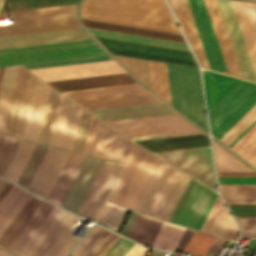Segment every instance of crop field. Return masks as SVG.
Instances as JSON below:
<instances>
[{
  "mask_svg": "<svg viewBox=\"0 0 256 256\" xmlns=\"http://www.w3.org/2000/svg\"><path fill=\"white\" fill-rule=\"evenodd\" d=\"M168 2L182 30L184 31L201 67L209 68V65H210V68L212 70H215L218 72L222 70L225 73H227V70H228V73L230 75L241 77L238 65L236 63V60H235V57H234V54H233L229 39L227 37L215 0H204V3L206 6L208 15L210 17L227 70H226L222 55L220 53L203 0H187V2L190 8L193 20L195 22L200 40L202 42L207 60L209 62V65L206 60V57H205L201 42L199 40L186 0H168Z\"/></svg>",
  "mask_w": 256,
  "mask_h": 256,
  "instance_id": "crop-field-1",
  "label": "crop field"
},
{
  "mask_svg": "<svg viewBox=\"0 0 256 256\" xmlns=\"http://www.w3.org/2000/svg\"><path fill=\"white\" fill-rule=\"evenodd\" d=\"M161 1L179 31L164 0ZM161 1L85 0L82 16L176 31Z\"/></svg>",
  "mask_w": 256,
  "mask_h": 256,
  "instance_id": "crop-field-2",
  "label": "crop field"
},
{
  "mask_svg": "<svg viewBox=\"0 0 256 256\" xmlns=\"http://www.w3.org/2000/svg\"><path fill=\"white\" fill-rule=\"evenodd\" d=\"M189 177L158 159L134 210L168 221Z\"/></svg>",
  "mask_w": 256,
  "mask_h": 256,
  "instance_id": "crop-field-3",
  "label": "crop field"
},
{
  "mask_svg": "<svg viewBox=\"0 0 256 256\" xmlns=\"http://www.w3.org/2000/svg\"><path fill=\"white\" fill-rule=\"evenodd\" d=\"M79 219L55 206L18 256H67L79 239L72 234Z\"/></svg>",
  "mask_w": 256,
  "mask_h": 256,
  "instance_id": "crop-field-4",
  "label": "crop field"
},
{
  "mask_svg": "<svg viewBox=\"0 0 256 256\" xmlns=\"http://www.w3.org/2000/svg\"><path fill=\"white\" fill-rule=\"evenodd\" d=\"M166 67L172 106L208 132L199 69Z\"/></svg>",
  "mask_w": 256,
  "mask_h": 256,
  "instance_id": "crop-field-5",
  "label": "crop field"
},
{
  "mask_svg": "<svg viewBox=\"0 0 256 256\" xmlns=\"http://www.w3.org/2000/svg\"><path fill=\"white\" fill-rule=\"evenodd\" d=\"M106 54L90 39L0 49V66Z\"/></svg>",
  "mask_w": 256,
  "mask_h": 256,
  "instance_id": "crop-field-6",
  "label": "crop field"
},
{
  "mask_svg": "<svg viewBox=\"0 0 256 256\" xmlns=\"http://www.w3.org/2000/svg\"><path fill=\"white\" fill-rule=\"evenodd\" d=\"M157 158L133 143L127 163L108 200L132 209Z\"/></svg>",
  "mask_w": 256,
  "mask_h": 256,
  "instance_id": "crop-field-7",
  "label": "crop field"
},
{
  "mask_svg": "<svg viewBox=\"0 0 256 256\" xmlns=\"http://www.w3.org/2000/svg\"><path fill=\"white\" fill-rule=\"evenodd\" d=\"M256 103V84L240 81L210 111L211 134L218 139Z\"/></svg>",
  "mask_w": 256,
  "mask_h": 256,
  "instance_id": "crop-field-8",
  "label": "crop field"
},
{
  "mask_svg": "<svg viewBox=\"0 0 256 256\" xmlns=\"http://www.w3.org/2000/svg\"><path fill=\"white\" fill-rule=\"evenodd\" d=\"M63 93L87 110L158 101L137 84Z\"/></svg>",
  "mask_w": 256,
  "mask_h": 256,
  "instance_id": "crop-field-9",
  "label": "crop field"
},
{
  "mask_svg": "<svg viewBox=\"0 0 256 256\" xmlns=\"http://www.w3.org/2000/svg\"><path fill=\"white\" fill-rule=\"evenodd\" d=\"M108 124L134 141L171 137V134L199 131L178 114L109 122ZM199 133L201 132L176 134L174 136Z\"/></svg>",
  "mask_w": 256,
  "mask_h": 256,
  "instance_id": "crop-field-10",
  "label": "crop field"
},
{
  "mask_svg": "<svg viewBox=\"0 0 256 256\" xmlns=\"http://www.w3.org/2000/svg\"><path fill=\"white\" fill-rule=\"evenodd\" d=\"M217 195L190 177L169 222L200 230Z\"/></svg>",
  "mask_w": 256,
  "mask_h": 256,
  "instance_id": "crop-field-11",
  "label": "crop field"
},
{
  "mask_svg": "<svg viewBox=\"0 0 256 256\" xmlns=\"http://www.w3.org/2000/svg\"><path fill=\"white\" fill-rule=\"evenodd\" d=\"M154 153L217 191L210 146Z\"/></svg>",
  "mask_w": 256,
  "mask_h": 256,
  "instance_id": "crop-field-12",
  "label": "crop field"
},
{
  "mask_svg": "<svg viewBox=\"0 0 256 256\" xmlns=\"http://www.w3.org/2000/svg\"><path fill=\"white\" fill-rule=\"evenodd\" d=\"M96 38L113 53L198 67L191 52Z\"/></svg>",
  "mask_w": 256,
  "mask_h": 256,
  "instance_id": "crop-field-13",
  "label": "crop field"
},
{
  "mask_svg": "<svg viewBox=\"0 0 256 256\" xmlns=\"http://www.w3.org/2000/svg\"><path fill=\"white\" fill-rule=\"evenodd\" d=\"M132 141L95 120L87 154L124 163Z\"/></svg>",
  "mask_w": 256,
  "mask_h": 256,
  "instance_id": "crop-field-14",
  "label": "crop field"
},
{
  "mask_svg": "<svg viewBox=\"0 0 256 256\" xmlns=\"http://www.w3.org/2000/svg\"><path fill=\"white\" fill-rule=\"evenodd\" d=\"M69 154L48 146L27 189L47 199Z\"/></svg>",
  "mask_w": 256,
  "mask_h": 256,
  "instance_id": "crop-field-15",
  "label": "crop field"
},
{
  "mask_svg": "<svg viewBox=\"0 0 256 256\" xmlns=\"http://www.w3.org/2000/svg\"><path fill=\"white\" fill-rule=\"evenodd\" d=\"M243 79L256 82V76L230 0H216Z\"/></svg>",
  "mask_w": 256,
  "mask_h": 256,
  "instance_id": "crop-field-16",
  "label": "crop field"
},
{
  "mask_svg": "<svg viewBox=\"0 0 256 256\" xmlns=\"http://www.w3.org/2000/svg\"><path fill=\"white\" fill-rule=\"evenodd\" d=\"M81 111L82 108L61 96L49 145L72 151Z\"/></svg>",
  "mask_w": 256,
  "mask_h": 256,
  "instance_id": "crop-field-17",
  "label": "crop field"
},
{
  "mask_svg": "<svg viewBox=\"0 0 256 256\" xmlns=\"http://www.w3.org/2000/svg\"><path fill=\"white\" fill-rule=\"evenodd\" d=\"M103 163V160L85 156L74 180L72 181L61 203V206L78 214Z\"/></svg>",
  "mask_w": 256,
  "mask_h": 256,
  "instance_id": "crop-field-18",
  "label": "crop field"
},
{
  "mask_svg": "<svg viewBox=\"0 0 256 256\" xmlns=\"http://www.w3.org/2000/svg\"><path fill=\"white\" fill-rule=\"evenodd\" d=\"M123 165L105 161L79 215L95 220Z\"/></svg>",
  "mask_w": 256,
  "mask_h": 256,
  "instance_id": "crop-field-19",
  "label": "crop field"
},
{
  "mask_svg": "<svg viewBox=\"0 0 256 256\" xmlns=\"http://www.w3.org/2000/svg\"><path fill=\"white\" fill-rule=\"evenodd\" d=\"M88 38L82 28L0 37V48Z\"/></svg>",
  "mask_w": 256,
  "mask_h": 256,
  "instance_id": "crop-field-20",
  "label": "crop field"
},
{
  "mask_svg": "<svg viewBox=\"0 0 256 256\" xmlns=\"http://www.w3.org/2000/svg\"><path fill=\"white\" fill-rule=\"evenodd\" d=\"M81 27L75 16H62L0 25V36Z\"/></svg>",
  "mask_w": 256,
  "mask_h": 256,
  "instance_id": "crop-field-21",
  "label": "crop field"
},
{
  "mask_svg": "<svg viewBox=\"0 0 256 256\" xmlns=\"http://www.w3.org/2000/svg\"><path fill=\"white\" fill-rule=\"evenodd\" d=\"M90 112L104 122L174 113L161 102L92 110Z\"/></svg>",
  "mask_w": 256,
  "mask_h": 256,
  "instance_id": "crop-field-22",
  "label": "crop field"
},
{
  "mask_svg": "<svg viewBox=\"0 0 256 256\" xmlns=\"http://www.w3.org/2000/svg\"><path fill=\"white\" fill-rule=\"evenodd\" d=\"M50 86L36 79L30 108L23 132V139L37 142Z\"/></svg>",
  "mask_w": 256,
  "mask_h": 256,
  "instance_id": "crop-field-23",
  "label": "crop field"
},
{
  "mask_svg": "<svg viewBox=\"0 0 256 256\" xmlns=\"http://www.w3.org/2000/svg\"><path fill=\"white\" fill-rule=\"evenodd\" d=\"M201 231L237 240L238 228L219 195L208 214Z\"/></svg>",
  "mask_w": 256,
  "mask_h": 256,
  "instance_id": "crop-field-24",
  "label": "crop field"
},
{
  "mask_svg": "<svg viewBox=\"0 0 256 256\" xmlns=\"http://www.w3.org/2000/svg\"><path fill=\"white\" fill-rule=\"evenodd\" d=\"M231 1L256 73V16L252 4Z\"/></svg>",
  "mask_w": 256,
  "mask_h": 256,
  "instance_id": "crop-field-25",
  "label": "crop field"
},
{
  "mask_svg": "<svg viewBox=\"0 0 256 256\" xmlns=\"http://www.w3.org/2000/svg\"><path fill=\"white\" fill-rule=\"evenodd\" d=\"M33 194L12 185L0 201V236L21 211Z\"/></svg>",
  "mask_w": 256,
  "mask_h": 256,
  "instance_id": "crop-field-26",
  "label": "crop field"
},
{
  "mask_svg": "<svg viewBox=\"0 0 256 256\" xmlns=\"http://www.w3.org/2000/svg\"><path fill=\"white\" fill-rule=\"evenodd\" d=\"M202 73L209 110L240 81L208 70Z\"/></svg>",
  "mask_w": 256,
  "mask_h": 256,
  "instance_id": "crop-field-27",
  "label": "crop field"
},
{
  "mask_svg": "<svg viewBox=\"0 0 256 256\" xmlns=\"http://www.w3.org/2000/svg\"><path fill=\"white\" fill-rule=\"evenodd\" d=\"M135 83L127 74L51 82L60 91Z\"/></svg>",
  "mask_w": 256,
  "mask_h": 256,
  "instance_id": "crop-field-28",
  "label": "crop field"
},
{
  "mask_svg": "<svg viewBox=\"0 0 256 256\" xmlns=\"http://www.w3.org/2000/svg\"><path fill=\"white\" fill-rule=\"evenodd\" d=\"M54 206L44 200L6 250L17 255Z\"/></svg>",
  "mask_w": 256,
  "mask_h": 256,
  "instance_id": "crop-field-29",
  "label": "crop field"
},
{
  "mask_svg": "<svg viewBox=\"0 0 256 256\" xmlns=\"http://www.w3.org/2000/svg\"><path fill=\"white\" fill-rule=\"evenodd\" d=\"M138 143L151 151L210 145L208 137L204 134L139 141Z\"/></svg>",
  "mask_w": 256,
  "mask_h": 256,
  "instance_id": "crop-field-30",
  "label": "crop field"
},
{
  "mask_svg": "<svg viewBox=\"0 0 256 256\" xmlns=\"http://www.w3.org/2000/svg\"><path fill=\"white\" fill-rule=\"evenodd\" d=\"M28 74H29V72L27 70H25L22 67L19 68V72H18V76H17V80H16V84H15V88H14V92H13V96H12V100H11L5 128H4V132H3L4 134H8V135H12V136L14 134V130H15V126H16V122H17V118H18V114H19V110H20V106H21V102H22V98H23V94H24V90H25V86H26V82H27V78H28Z\"/></svg>",
  "mask_w": 256,
  "mask_h": 256,
  "instance_id": "crop-field-31",
  "label": "crop field"
},
{
  "mask_svg": "<svg viewBox=\"0 0 256 256\" xmlns=\"http://www.w3.org/2000/svg\"><path fill=\"white\" fill-rule=\"evenodd\" d=\"M84 155L71 153L50 197L49 200L60 205L71 181L73 180Z\"/></svg>",
  "mask_w": 256,
  "mask_h": 256,
  "instance_id": "crop-field-32",
  "label": "crop field"
},
{
  "mask_svg": "<svg viewBox=\"0 0 256 256\" xmlns=\"http://www.w3.org/2000/svg\"><path fill=\"white\" fill-rule=\"evenodd\" d=\"M74 6L75 4L46 7V8H37V9H28V10H19V11H11V12H2L0 13V19L14 18V21H18V20L53 17V16H61V15H70V14H74Z\"/></svg>",
  "mask_w": 256,
  "mask_h": 256,
  "instance_id": "crop-field-33",
  "label": "crop field"
},
{
  "mask_svg": "<svg viewBox=\"0 0 256 256\" xmlns=\"http://www.w3.org/2000/svg\"><path fill=\"white\" fill-rule=\"evenodd\" d=\"M43 199L33 195L29 202L25 205L22 211L18 214L15 220L7 228L4 234L0 237V247L6 249L10 242L14 239L17 233L21 230L24 224L32 216L35 210L42 203Z\"/></svg>",
  "mask_w": 256,
  "mask_h": 256,
  "instance_id": "crop-field-34",
  "label": "crop field"
},
{
  "mask_svg": "<svg viewBox=\"0 0 256 256\" xmlns=\"http://www.w3.org/2000/svg\"><path fill=\"white\" fill-rule=\"evenodd\" d=\"M162 221L137 214L127 236L151 245Z\"/></svg>",
  "mask_w": 256,
  "mask_h": 256,
  "instance_id": "crop-field-35",
  "label": "crop field"
},
{
  "mask_svg": "<svg viewBox=\"0 0 256 256\" xmlns=\"http://www.w3.org/2000/svg\"><path fill=\"white\" fill-rule=\"evenodd\" d=\"M95 36L190 51L187 44L88 28Z\"/></svg>",
  "mask_w": 256,
  "mask_h": 256,
  "instance_id": "crop-field-36",
  "label": "crop field"
},
{
  "mask_svg": "<svg viewBox=\"0 0 256 256\" xmlns=\"http://www.w3.org/2000/svg\"><path fill=\"white\" fill-rule=\"evenodd\" d=\"M86 27L186 43L183 36L82 20Z\"/></svg>",
  "mask_w": 256,
  "mask_h": 256,
  "instance_id": "crop-field-37",
  "label": "crop field"
},
{
  "mask_svg": "<svg viewBox=\"0 0 256 256\" xmlns=\"http://www.w3.org/2000/svg\"><path fill=\"white\" fill-rule=\"evenodd\" d=\"M226 203H256V185H219Z\"/></svg>",
  "mask_w": 256,
  "mask_h": 256,
  "instance_id": "crop-field-38",
  "label": "crop field"
},
{
  "mask_svg": "<svg viewBox=\"0 0 256 256\" xmlns=\"http://www.w3.org/2000/svg\"><path fill=\"white\" fill-rule=\"evenodd\" d=\"M35 143L21 140L13 158L11 159L3 177L17 182Z\"/></svg>",
  "mask_w": 256,
  "mask_h": 256,
  "instance_id": "crop-field-39",
  "label": "crop field"
},
{
  "mask_svg": "<svg viewBox=\"0 0 256 256\" xmlns=\"http://www.w3.org/2000/svg\"><path fill=\"white\" fill-rule=\"evenodd\" d=\"M19 66L6 67L0 89V132L2 133Z\"/></svg>",
  "mask_w": 256,
  "mask_h": 256,
  "instance_id": "crop-field-40",
  "label": "crop field"
},
{
  "mask_svg": "<svg viewBox=\"0 0 256 256\" xmlns=\"http://www.w3.org/2000/svg\"><path fill=\"white\" fill-rule=\"evenodd\" d=\"M256 123V104L219 140L230 148Z\"/></svg>",
  "mask_w": 256,
  "mask_h": 256,
  "instance_id": "crop-field-41",
  "label": "crop field"
},
{
  "mask_svg": "<svg viewBox=\"0 0 256 256\" xmlns=\"http://www.w3.org/2000/svg\"><path fill=\"white\" fill-rule=\"evenodd\" d=\"M60 95L61 93H59L58 91L54 90L53 88L50 89L45 115L38 140L39 143L47 145L49 143Z\"/></svg>",
  "mask_w": 256,
  "mask_h": 256,
  "instance_id": "crop-field-42",
  "label": "crop field"
},
{
  "mask_svg": "<svg viewBox=\"0 0 256 256\" xmlns=\"http://www.w3.org/2000/svg\"><path fill=\"white\" fill-rule=\"evenodd\" d=\"M148 64L153 92L171 104L165 64L150 61Z\"/></svg>",
  "mask_w": 256,
  "mask_h": 256,
  "instance_id": "crop-field-43",
  "label": "crop field"
},
{
  "mask_svg": "<svg viewBox=\"0 0 256 256\" xmlns=\"http://www.w3.org/2000/svg\"><path fill=\"white\" fill-rule=\"evenodd\" d=\"M216 158L217 171H253L232 154L212 141Z\"/></svg>",
  "mask_w": 256,
  "mask_h": 256,
  "instance_id": "crop-field-44",
  "label": "crop field"
},
{
  "mask_svg": "<svg viewBox=\"0 0 256 256\" xmlns=\"http://www.w3.org/2000/svg\"><path fill=\"white\" fill-rule=\"evenodd\" d=\"M231 149L256 167V124Z\"/></svg>",
  "mask_w": 256,
  "mask_h": 256,
  "instance_id": "crop-field-45",
  "label": "crop field"
},
{
  "mask_svg": "<svg viewBox=\"0 0 256 256\" xmlns=\"http://www.w3.org/2000/svg\"><path fill=\"white\" fill-rule=\"evenodd\" d=\"M145 86L151 88L147 61L116 56Z\"/></svg>",
  "mask_w": 256,
  "mask_h": 256,
  "instance_id": "crop-field-46",
  "label": "crop field"
},
{
  "mask_svg": "<svg viewBox=\"0 0 256 256\" xmlns=\"http://www.w3.org/2000/svg\"><path fill=\"white\" fill-rule=\"evenodd\" d=\"M126 209L106 202L99 218L98 222H101L115 230H117Z\"/></svg>",
  "mask_w": 256,
  "mask_h": 256,
  "instance_id": "crop-field-47",
  "label": "crop field"
},
{
  "mask_svg": "<svg viewBox=\"0 0 256 256\" xmlns=\"http://www.w3.org/2000/svg\"><path fill=\"white\" fill-rule=\"evenodd\" d=\"M214 239L215 236L195 231L191 239L184 247V250L192 254H199L204 256Z\"/></svg>",
  "mask_w": 256,
  "mask_h": 256,
  "instance_id": "crop-field-48",
  "label": "crop field"
},
{
  "mask_svg": "<svg viewBox=\"0 0 256 256\" xmlns=\"http://www.w3.org/2000/svg\"><path fill=\"white\" fill-rule=\"evenodd\" d=\"M35 79H36V76H34L33 74L30 73L28 82H27V86H26V90H25V94H24V98H23V102H22V106H21V110H20V114H19V118H18V122H17V126H16V130H15V134H14V136H16V137L21 138V136H22V132H23V128H24V124H25V120H26V116H27V112H28V107H29Z\"/></svg>",
  "mask_w": 256,
  "mask_h": 256,
  "instance_id": "crop-field-49",
  "label": "crop field"
},
{
  "mask_svg": "<svg viewBox=\"0 0 256 256\" xmlns=\"http://www.w3.org/2000/svg\"><path fill=\"white\" fill-rule=\"evenodd\" d=\"M47 146L37 144L19 181L18 184L27 187L36 167L38 166Z\"/></svg>",
  "mask_w": 256,
  "mask_h": 256,
  "instance_id": "crop-field-50",
  "label": "crop field"
},
{
  "mask_svg": "<svg viewBox=\"0 0 256 256\" xmlns=\"http://www.w3.org/2000/svg\"><path fill=\"white\" fill-rule=\"evenodd\" d=\"M106 229L94 225L88 234L79 243L72 256H85L86 253L92 248V246L98 241V239L104 234Z\"/></svg>",
  "mask_w": 256,
  "mask_h": 256,
  "instance_id": "crop-field-51",
  "label": "crop field"
},
{
  "mask_svg": "<svg viewBox=\"0 0 256 256\" xmlns=\"http://www.w3.org/2000/svg\"><path fill=\"white\" fill-rule=\"evenodd\" d=\"M119 237L120 235L107 230L86 256H104Z\"/></svg>",
  "mask_w": 256,
  "mask_h": 256,
  "instance_id": "crop-field-52",
  "label": "crop field"
},
{
  "mask_svg": "<svg viewBox=\"0 0 256 256\" xmlns=\"http://www.w3.org/2000/svg\"><path fill=\"white\" fill-rule=\"evenodd\" d=\"M90 117H91V114H89L85 110L82 111L80 124H79V128H78L77 136H76V141H75V145H74V149H73V151H75V152L82 153V151H83Z\"/></svg>",
  "mask_w": 256,
  "mask_h": 256,
  "instance_id": "crop-field-53",
  "label": "crop field"
},
{
  "mask_svg": "<svg viewBox=\"0 0 256 256\" xmlns=\"http://www.w3.org/2000/svg\"><path fill=\"white\" fill-rule=\"evenodd\" d=\"M112 59L109 56L22 65L27 69Z\"/></svg>",
  "mask_w": 256,
  "mask_h": 256,
  "instance_id": "crop-field-54",
  "label": "crop field"
},
{
  "mask_svg": "<svg viewBox=\"0 0 256 256\" xmlns=\"http://www.w3.org/2000/svg\"><path fill=\"white\" fill-rule=\"evenodd\" d=\"M236 218H256V204H228Z\"/></svg>",
  "mask_w": 256,
  "mask_h": 256,
  "instance_id": "crop-field-55",
  "label": "crop field"
},
{
  "mask_svg": "<svg viewBox=\"0 0 256 256\" xmlns=\"http://www.w3.org/2000/svg\"><path fill=\"white\" fill-rule=\"evenodd\" d=\"M133 244L134 242L121 236L105 256H124Z\"/></svg>",
  "mask_w": 256,
  "mask_h": 256,
  "instance_id": "crop-field-56",
  "label": "crop field"
},
{
  "mask_svg": "<svg viewBox=\"0 0 256 256\" xmlns=\"http://www.w3.org/2000/svg\"><path fill=\"white\" fill-rule=\"evenodd\" d=\"M237 220L242 229V237H256V219Z\"/></svg>",
  "mask_w": 256,
  "mask_h": 256,
  "instance_id": "crop-field-57",
  "label": "crop field"
},
{
  "mask_svg": "<svg viewBox=\"0 0 256 256\" xmlns=\"http://www.w3.org/2000/svg\"><path fill=\"white\" fill-rule=\"evenodd\" d=\"M219 184H256V177H218Z\"/></svg>",
  "mask_w": 256,
  "mask_h": 256,
  "instance_id": "crop-field-58",
  "label": "crop field"
},
{
  "mask_svg": "<svg viewBox=\"0 0 256 256\" xmlns=\"http://www.w3.org/2000/svg\"><path fill=\"white\" fill-rule=\"evenodd\" d=\"M20 140L19 139H15L13 138L5 156L3 157L1 163H0V177H2L10 159L12 158L18 144H19Z\"/></svg>",
  "mask_w": 256,
  "mask_h": 256,
  "instance_id": "crop-field-59",
  "label": "crop field"
},
{
  "mask_svg": "<svg viewBox=\"0 0 256 256\" xmlns=\"http://www.w3.org/2000/svg\"><path fill=\"white\" fill-rule=\"evenodd\" d=\"M81 19L90 20V21H96V22L109 23V24L122 25V26H128V27L141 28V29H147V30H154V31H160V32H167V33H173V34L181 35V33H177V32H171V31H165V30H159V29H152V28H146V27H140V26H134V25H127V24H121V23H115V22H109V21H102V20H96V19H90V18H84V17H81Z\"/></svg>",
  "mask_w": 256,
  "mask_h": 256,
  "instance_id": "crop-field-60",
  "label": "crop field"
},
{
  "mask_svg": "<svg viewBox=\"0 0 256 256\" xmlns=\"http://www.w3.org/2000/svg\"><path fill=\"white\" fill-rule=\"evenodd\" d=\"M11 140H12V137L2 135V137L0 139V161H1L5 151L7 150Z\"/></svg>",
  "mask_w": 256,
  "mask_h": 256,
  "instance_id": "crop-field-61",
  "label": "crop field"
},
{
  "mask_svg": "<svg viewBox=\"0 0 256 256\" xmlns=\"http://www.w3.org/2000/svg\"><path fill=\"white\" fill-rule=\"evenodd\" d=\"M225 242H226V239L216 237V239L214 240V242L211 245V247L209 248V250L220 253Z\"/></svg>",
  "mask_w": 256,
  "mask_h": 256,
  "instance_id": "crop-field-62",
  "label": "crop field"
},
{
  "mask_svg": "<svg viewBox=\"0 0 256 256\" xmlns=\"http://www.w3.org/2000/svg\"><path fill=\"white\" fill-rule=\"evenodd\" d=\"M193 233L194 230L186 228L177 246L183 249V247L185 246V244L190 239Z\"/></svg>",
  "mask_w": 256,
  "mask_h": 256,
  "instance_id": "crop-field-63",
  "label": "crop field"
},
{
  "mask_svg": "<svg viewBox=\"0 0 256 256\" xmlns=\"http://www.w3.org/2000/svg\"><path fill=\"white\" fill-rule=\"evenodd\" d=\"M218 176H256V172H217Z\"/></svg>",
  "mask_w": 256,
  "mask_h": 256,
  "instance_id": "crop-field-64",
  "label": "crop field"
},
{
  "mask_svg": "<svg viewBox=\"0 0 256 256\" xmlns=\"http://www.w3.org/2000/svg\"><path fill=\"white\" fill-rule=\"evenodd\" d=\"M94 120H95V117L92 116L91 117V121H90V125H89V130H88L87 138H86V143H85L84 151H83V153H85V154L87 152V148H88V144H89V140H90V136H91Z\"/></svg>",
  "mask_w": 256,
  "mask_h": 256,
  "instance_id": "crop-field-65",
  "label": "crop field"
},
{
  "mask_svg": "<svg viewBox=\"0 0 256 256\" xmlns=\"http://www.w3.org/2000/svg\"><path fill=\"white\" fill-rule=\"evenodd\" d=\"M136 214H137V213H135V212L132 213V215H131V217H130V219H129V221H128V223H127V225H126V227H125V229H124V231H123V234H125V235L127 234V232H128V230H129V228H130V226H131V224H132V222H133V220H134Z\"/></svg>",
  "mask_w": 256,
  "mask_h": 256,
  "instance_id": "crop-field-66",
  "label": "crop field"
},
{
  "mask_svg": "<svg viewBox=\"0 0 256 256\" xmlns=\"http://www.w3.org/2000/svg\"><path fill=\"white\" fill-rule=\"evenodd\" d=\"M11 183H7V185L4 187V189L0 192V199L4 196V194L8 191V189L11 187Z\"/></svg>",
  "mask_w": 256,
  "mask_h": 256,
  "instance_id": "crop-field-67",
  "label": "crop field"
},
{
  "mask_svg": "<svg viewBox=\"0 0 256 256\" xmlns=\"http://www.w3.org/2000/svg\"><path fill=\"white\" fill-rule=\"evenodd\" d=\"M7 181L0 179V191L3 189V187L6 185Z\"/></svg>",
  "mask_w": 256,
  "mask_h": 256,
  "instance_id": "crop-field-68",
  "label": "crop field"
},
{
  "mask_svg": "<svg viewBox=\"0 0 256 256\" xmlns=\"http://www.w3.org/2000/svg\"><path fill=\"white\" fill-rule=\"evenodd\" d=\"M0 256H11V254L0 249Z\"/></svg>",
  "mask_w": 256,
  "mask_h": 256,
  "instance_id": "crop-field-69",
  "label": "crop field"
},
{
  "mask_svg": "<svg viewBox=\"0 0 256 256\" xmlns=\"http://www.w3.org/2000/svg\"><path fill=\"white\" fill-rule=\"evenodd\" d=\"M253 4V7H254V10H255V13H256V3H252Z\"/></svg>",
  "mask_w": 256,
  "mask_h": 256,
  "instance_id": "crop-field-70",
  "label": "crop field"
},
{
  "mask_svg": "<svg viewBox=\"0 0 256 256\" xmlns=\"http://www.w3.org/2000/svg\"><path fill=\"white\" fill-rule=\"evenodd\" d=\"M0 137H1V135H0Z\"/></svg>",
  "mask_w": 256,
  "mask_h": 256,
  "instance_id": "crop-field-71",
  "label": "crop field"
},
{
  "mask_svg": "<svg viewBox=\"0 0 256 256\" xmlns=\"http://www.w3.org/2000/svg\"><path fill=\"white\" fill-rule=\"evenodd\" d=\"M0 2H1V0H0Z\"/></svg>",
  "mask_w": 256,
  "mask_h": 256,
  "instance_id": "crop-field-72",
  "label": "crop field"
},
{
  "mask_svg": "<svg viewBox=\"0 0 256 256\" xmlns=\"http://www.w3.org/2000/svg\"><path fill=\"white\" fill-rule=\"evenodd\" d=\"M13 256V255H12Z\"/></svg>",
  "mask_w": 256,
  "mask_h": 256,
  "instance_id": "crop-field-73",
  "label": "crop field"
}]
</instances>
